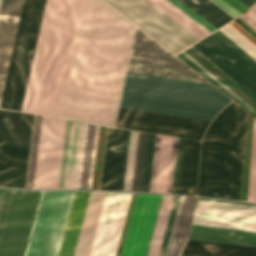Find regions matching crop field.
<instances>
[{
  "mask_svg": "<svg viewBox=\"0 0 256 256\" xmlns=\"http://www.w3.org/2000/svg\"><path fill=\"white\" fill-rule=\"evenodd\" d=\"M135 26L83 0L57 116L114 126Z\"/></svg>",
  "mask_w": 256,
  "mask_h": 256,
  "instance_id": "1",
  "label": "crop field"
},
{
  "mask_svg": "<svg viewBox=\"0 0 256 256\" xmlns=\"http://www.w3.org/2000/svg\"><path fill=\"white\" fill-rule=\"evenodd\" d=\"M82 0H47L21 111L56 116Z\"/></svg>",
  "mask_w": 256,
  "mask_h": 256,
  "instance_id": "2",
  "label": "crop field"
},
{
  "mask_svg": "<svg viewBox=\"0 0 256 256\" xmlns=\"http://www.w3.org/2000/svg\"><path fill=\"white\" fill-rule=\"evenodd\" d=\"M247 112L231 103L211 123L201 148L198 195L240 200Z\"/></svg>",
  "mask_w": 256,
  "mask_h": 256,
  "instance_id": "3",
  "label": "crop field"
},
{
  "mask_svg": "<svg viewBox=\"0 0 256 256\" xmlns=\"http://www.w3.org/2000/svg\"><path fill=\"white\" fill-rule=\"evenodd\" d=\"M230 101L210 84L128 72L120 107L212 121Z\"/></svg>",
  "mask_w": 256,
  "mask_h": 256,
  "instance_id": "4",
  "label": "crop field"
},
{
  "mask_svg": "<svg viewBox=\"0 0 256 256\" xmlns=\"http://www.w3.org/2000/svg\"><path fill=\"white\" fill-rule=\"evenodd\" d=\"M106 3H108L110 6H112L114 9H116L118 12H120L122 15H124L126 18H128L130 21H132L134 24H136L138 27H140L143 31H145L147 34H149L151 37H153L155 40H157L160 44H162L164 47H166L168 50H170L175 55L179 52L183 51L193 43L197 42L204 36L210 34L211 32L217 30L213 26H211L209 23H207L205 20H203L201 17H199L197 14H195L193 11H191L189 8H187L185 5H183L178 0H149L156 6H154L152 3H150L148 0H104Z\"/></svg>",
  "mask_w": 256,
  "mask_h": 256,
  "instance_id": "5",
  "label": "crop field"
},
{
  "mask_svg": "<svg viewBox=\"0 0 256 256\" xmlns=\"http://www.w3.org/2000/svg\"><path fill=\"white\" fill-rule=\"evenodd\" d=\"M65 122L35 115L25 188L57 189ZM70 123L67 119L58 189L63 186Z\"/></svg>",
  "mask_w": 256,
  "mask_h": 256,
  "instance_id": "6",
  "label": "crop field"
},
{
  "mask_svg": "<svg viewBox=\"0 0 256 256\" xmlns=\"http://www.w3.org/2000/svg\"><path fill=\"white\" fill-rule=\"evenodd\" d=\"M219 30L256 60V48L232 27ZM219 30L192 46L256 99V61Z\"/></svg>",
  "mask_w": 256,
  "mask_h": 256,
  "instance_id": "7",
  "label": "crop field"
},
{
  "mask_svg": "<svg viewBox=\"0 0 256 256\" xmlns=\"http://www.w3.org/2000/svg\"><path fill=\"white\" fill-rule=\"evenodd\" d=\"M34 115L0 110V185L24 188Z\"/></svg>",
  "mask_w": 256,
  "mask_h": 256,
  "instance_id": "8",
  "label": "crop field"
},
{
  "mask_svg": "<svg viewBox=\"0 0 256 256\" xmlns=\"http://www.w3.org/2000/svg\"><path fill=\"white\" fill-rule=\"evenodd\" d=\"M40 193L0 189V256H24Z\"/></svg>",
  "mask_w": 256,
  "mask_h": 256,
  "instance_id": "9",
  "label": "crop field"
},
{
  "mask_svg": "<svg viewBox=\"0 0 256 256\" xmlns=\"http://www.w3.org/2000/svg\"><path fill=\"white\" fill-rule=\"evenodd\" d=\"M73 191L44 192L27 256H58Z\"/></svg>",
  "mask_w": 256,
  "mask_h": 256,
  "instance_id": "10",
  "label": "crop field"
},
{
  "mask_svg": "<svg viewBox=\"0 0 256 256\" xmlns=\"http://www.w3.org/2000/svg\"><path fill=\"white\" fill-rule=\"evenodd\" d=\"M46 0H28L4 108L20 111Z\"/></svg>",
  "mask_w": 256,
  "mask_h": 256,
  "instance_id": "11",
  "label": "crop field"
},
{
  "mask_svg": "<svg viewBox=\"0 0 256 256\" xmlns=\"http://www.w3.org/2000/svg\"><path fill=\"white\" fill-rule=\"evenodd\" d=\"M188 239L256 247V232L192 225ZM188 240L181 255L256 256V248Z\"/></svg>",
  "mask_w": 256,
  "mask_h": 256,
  "instance_id": "12",
  "label": "crop field"
},
{
  "mask_svg": "<svg viewBox=\"0 0 256 256\" xmlns=\"http://www.w3.org/2000/svg\"><path fill=\"white\" fill-rule=\"evenodd\" d=\"M128 71L206 82L139 29L136 30Z\"/></svg>",
  "mask_w": 256,
  "mask_h": 256,
  "instance_id": "13",
  "label": "crop field"
},
{
  "mask_svg": "<svg viewBox=\"0 0 256 256\" xmlns=\"http://www.w3.org/2000/svg\"><path fill=\"white\" fill-rule=\"evenodd\" d=\"M85 126L72 120L63 189H77ZM97 129L87 123L78 189H90Z\"/></svg>",
  "mask_w": 256,
  "mask_h": 256,
  "instance_id": "14",
  "label": "crop field"
},
{
  "mask_svg": "<svg viewBox=\"0 0 256 256\" xmlns=\"http://www.w3.org/2000/svg\"><path fill=\"white\" fill-rule=\"evenodd\" d=\"M210 122L120 108L116 126L201 140Z\"/></svg>",
  "mask_w": 256,
  "mask_h": 256,
  "instance_id": "15",
  "label": "crop field"
},
{
  "mask_svg": "<svg viewBox=\"0 0 256 256\" xmlns=\"http://www.w3.org/2000/svg\"><path fill=\"white\" fill-rule=\"evenodd\" d=\"M130 195L106 192L89 256H115Z\"/></svg>",
  "mask_w": 256,
  "mask_h": 256,
  "instance_id": "16",
  "label": "crop field"
},
{
  "mask_svg": "<svg viewBox=\"0 0 256 256\" xmlns=\"http://www.w3.org/2000/svg\"><path fill=\"white\" fill-rule=\"evenodd\" d=\"M26 4L27 0L23 1V5L22 0H0V97L9 62L13 39L16 31V26L19 18V13L22 5L16 36L6 75V80L4 84V89L0 101L1 108H3L5 102V97L8 89V84L15 58L19 35L22 27Z\"/></svg>",
  "mask_w": 256,
  "mask_h": 256,
  "instance_id": "17",
  "label": "crop field"
},
{
  "mask_svg": "<svg viewBox=\"0 0 256 256\" xmlns=\"http://www.w3.org/2000/svg\"><path fill=\"white\" fill-rule=\"evenodd\" d=\"M192 224L256 231V207L197 200Z\"/></svg>",
  "mask_w": 256,
  "mask_h": 256,
  "instance_id": "18",
  "label": "crop field"
},
{
  "mask_svg": "<svg viewBox=\"0 0 256 256\" xmlns=\"http://www.w3.org/2000/svg\"><path fill=\"white\" fill-rule=\"evenodd\" d=\"M129 134L108 127L100 189L122 190Z\"/></svg>",
  "mask_w": 256,
  "mask_h": 256,
  "instance_id": "19",
  "label": "crop field"
},
{
  "mask_svg": "<svg viewBox=\"0 0 256 256\" xmlns=\"http://www.w3.org/2000/svg\"><path fill=\"white\" fill-rule=\"evenodd\" d=\"M185 54H187L191 59H193L197 64H199L203 69H205L210 75H212L216 80H218L222 85H224L228 90H230L235 96H237L241 101H243L247 106H249L254 112H256V100L252 97V96H250L245 90H243L239 85H237L233 80H231L227 75H225L220 69H218L214 64H212L208 59H206L202 54H200L196 49H194L192 46L191 47H189L187 50H185V51H183ZM182 52V53H183ZM179 54V55H177L178 57H180L184 62H186L190 67H192L194 70H196L199 74H201L204 78H206L209 82H211L214 86H216L219 90H221L224 94H226L228 97H230L233 101H235L237 104H239L241 107H243L245 110H247L249 113H251L253 116H255L256 117V113L255 114H253L248 108H246L242 103H240L236 98H234L229 92H227L223 87H221L217 82H215L211 77H209L204 71H202L198 66H196L192 61H190L186 56H184L183 54Z\"/></svg>",
  "mask_w": 256,
  "mask_h": 256,
  "instance_id": "20",
  "label": "crop field"
},
{
  "mask_svg": "<svg viewBox=\"0 0 256 256\" xmlns=\"http://www.w3.org/2000/svg\"><path fill=\"white\" fill-rule=\"evenodd\" d=\"M177 141L157 135L150 192L171 193Z\"/></svg>",
  "mask_w": 256,
  "mask_h": 256,
  "instance_id": "21",
  "label": "crop field"
},
{
  "mask_svg": "<svg viewBox=\"0 0 256 256\" xmlns=\"http://www.w3.org/2000/svg\"><path fill=\"white\" fill-rule=\"evenodd\" d=\"M217 29L249 9L256 0H180Z\"/></svg>",
  "mask_w": 256,
  "mask_h": 256,
  "instance_id": "22",
  "label": "crop field"
},
{
  "mask_svg": "<svg viewBox=\"0 0 256 256\" xmlns=\"http://www.w3.org/2000/svg\"><path fill=\"white\" fill-rule=\"evenodd\" d=\"M149 137L131 131L123 190L142 191Z\"/></svg>",
  "mask_w": 256,
  "mask_h": 256,
  "instance_id": "23",
  "label": "crop field"
},
{
  "mask_svg": "<svg viewBox=\"0 0 256 256\" xmlns=\"http://www.w3.org/2000/svg\"><path fill=\"white\" fill-rule=\"evenodd\" d=\"M105 192H91L74 256H88Z\"/></svg>",
  "mask_w": 256,
  "mask_h": 256,
  "instance_id": "24",
  "label": "crop field"
},
{
  "mask_svg": "<svg viewBox=\"0 0 256 256\" xmlns=\"http://www.w3.org/2000/svg\"><path fill=\"white\" fill-rule=\"evenodd\" d=\"M89 193H75L59 256H73Z\"/></svg>",
  "mask_w": 256,
  "mask_h": 256,
  "instance_id": "25",
  "label": "crop field"
},
{
  "mask_svg": "<svg viewBox=\"0 0 256 256\" xmlns=\"http://www.w3.org/2000/svg\"><path fill=\"white\" fill-rule=\"evenodd\" d=\"M195 197L182 196L166 256H179L187 238Z\"/></svg>",
  "mask_w": 256,
  "mask_h": 256,
  "instance_id": "26",
  "label": "crop field"
},
{
  "mask_svg": "<svg viewBox=\"0 0 256 256\" xmlns=\"http://www.w3.org/2000/svg\"><path fill=\"white\" fill-rule=\"evenodd\" d=\"M200 142L185 140L180 174V194L196 195Z\"/></svg>",
  "mask_w": 256,
  "mask_h": 256,
  "instance_id": "27",
  "label": "crop field"
},
{
  "mask_svg": "<svg viewBox=\"0 0 256 256\" xmlns=\"http://www.w3.org/2000/svg\"><path fill=\"white\" fill-rule=\"evenodd\" d=\"M162 195H149L133 256H146Z\"/></svg>",
  "mask_w": 256,
  "mask_h": 256,
  "instance_id": "28",
  "label": "crop field"
},
{
  "mask_svg": "<svg viewBox=\"0 0 256 256\" xmlns=\"http://www.w3.org/2000/svg\"><path fill=\"white\" fill-rule=\"evenodd\" d=\"M148 195L137 194L121 256H132Z\"/></svg>",
  "mask_w": 256,
  "mask_h": 256,
  "instance_id": "29",
  "label": "crop field"
},
{
  "mask_svg": "<svg viewBox=\"0 0 256 256\" xmlns=\"http://www.w3.org/2000/svg\"><path fill=\"white\" fill-rule=\"evenodd\" d=\"M174 196H163L147 256H157Z\"/></svg>",
  "mask_w": 256,
  "mask_h": 256,
  "instance_id": "30",
  "label": "crop field"
},
{
  "mask_svg": "<svg viewBox=\"0 0 256 256\" xmlns=\"http://www.w3.org/2000/svg\"><path fill=\"white\" fill-rule=\"evenodd\" d=\"M248 201L256 202V120L254 124L252 160L250 171L249 195Z\"/></svg>",
  "mask_w": 256,
  "mask_h": 256,
  "instance_id": "31",
  "label": "crop field"
},
{
  "mask_svg": "<svg viewBox=\"0 0 256 256\" xmlns=\"http://www.w3.org/2000/svg\"><path fill=\"white\" fill-rule=\"evenodd\" d=\"M181 196H175L158 256H165Z\"/></svg>",
  "mask_w": 256,
  "mask_h": 256,
  "instance_id": "32",
  "label": "crop field"
},
{
  "mask_svg": "<svg viewBox=\"0 0 256 256\" xmlns=\"http://www.w3.org/2000/svg\"><path fill=\"white\" fill-rule=\"evenodd\" d=\"M156 135L151 134L143 191L149 192Z\"/></svg>",
  "mask_w": 256,
  "mask_h": 256,
  "instance_id": "33",
  "label": "crop field"
},
{
  "mask_svg": "<svg viewBox=\"0 0 256 256\" xmlns=\"http://www.w3.org/2000/svg\"><path fill=\"white\" fill-rule=\"evenodd\" d=\"M183 143H184V140L179 138L172 193H177V190H178Z\"/></svg>",
  "mask_w": 256,
  "mask_h": 256,
  "instance_id": "34",
  "label": "crop field"
},
{
  "mask_svg": "<svg viewBox=\"0 0 256 256\" xmlns=\"http://www.w3.org/2000/svg\"><path fill=\"white\" fill-rule=\"evenodd\" d=\"M239 18L256 31V4Z\"/></svg>",
  "mask_w": 256,
  "mask_h": 256,
  "instance_id": "35",
  "label": "crop field"
}]
</instances>
